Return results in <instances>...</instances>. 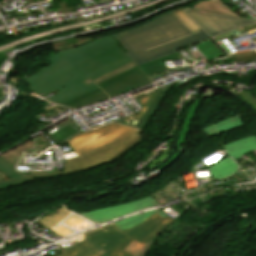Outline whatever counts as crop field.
<instances>
[{"label":"crop field","mask_w":256,"mask_h":256,"mask_svg":"<svg viewBox=\"0 0 256 256\" xmlns=\"http://www.w3.org/2000/svg\"><path fill=\"white\" fill-rule=\"evenodd\" d=\"M237 169L238 166L236 163L228 157L216 165L210 167L209 171L214 177H216L218 180H221L233 175Z\"/></svg>","instance_id":"13"},{"label":"crop field","mask_w":256,"mask_h":256,"mask_svg":"<svg viewBox=\"0 0 256 256\" xmlns=\"http://www.w3.org/2000/svg\"><path fill=\"white\" fill-rule=\"evenodd\" d=\"M157 93L153 94V95H149L146 96L144 98H141L139 100H137V102L139 103V105L143 108L140 112V114L137 116L138 118H142V116L144 115L145 111L147 110V108L149 107V105L151 104V102L153 101L155 95Z\"/></svg>","instance_id":"20"},{"label":"crop field","mask_w":256,"mask_h":256,"mask_svg":"<svg viewBox=\"0 0 256 256\" xmlns=\"http://www.w3.org/2000/svg\"><path fill=\"white\" fill-rule=\"evenodd\" d=\"M66 5H67L66 2H62V3L58 4L59 8L63 11L64 14L70 13L74 9V7L67 8Z\"/></svg>","instance_id":"24"},{"label":"crop field","mask_w":256,"mask_h":256,"mask_svg":"<svg viewBox=\"0 0 256 256\" xmlns=\"http://www.w3.org/2000/svg\"><path fill=\"white\" fill-rule=\"evenodd\" d=\"M172 221L166 214L156 209L123 219L111 225L145 246Z\"/></svg>","instance_id":"6"},{"label":"crop field","mask_w":256,"mask_h":256,"mask_svg":"<svg viewBox=\"0 0 256 256\" xmlns=\"http://www.w3.org/2000/svg\"><path fill=\"white\" fill-rule=\"evenodd\" d=\"M198 103H199V101H195L194 104H193V105L190 107V109H189L187 118H186V120H185L183 129H182V133H181L180 139H179V141H178V145H182V144H183L184 137H185L186 132H187V129H188L190 123H191V120H192L194 111H195V109H196Z\"/></svg>","instance_id":"18"},{"label":"crop field","mask_w":256,"mask_h":256,"mask_svg":"<svg viewBox=\"0 0 256 256\" xmlns=\"http://www.w3.org/2000/svg\"><path fill=\"white\" fill-rule=\"evenodd\" d=\"M227 153L236 160L238 157L256 148V136L243 138L239 141L224 145Z\"/></svg>","instance_id":"10"},{"label":"crop field","mask_w":256,"mask_h":256,"mask_svg":"<svg viewBox=\"0 0 256 256\" xmlns=\"http://www.w3.org/2000/svg\"><path fill=\"white\" fill-rule=\"evenodd\" d=\"M88 79L65 59L37 72L26 81L33 92L41 97L56 90L60 93L46 99L59 105L91 90L98 88L95 84H85Z\"/></svg>","instance_id":"4"},{"label":"crop field","mask_w":256,"mask_h":256,"mask_svg":"<svg viewBox=\"0 0 256 256\" xmlns=\"http://www.w3.org/2000/svg\"><path fill=\"white\" fill-rule=\"evenodd\" d=\"M0 172L6 174L7 176L11 177L12 179L1 181L0 182V190L5 189L9 186L33 181L25 176L17 174L14 169L13 165L7 161L6 159L0 157Z\"/></svg>","instance_id":"11"},{"label":"crop field","mask_w":256,"mask_h":256,"mask_svg":"<svg viewBox=\"0 0 256 256\" xmlns=\"http://www.w3.org/2000/svg\"><path fill=\"white\" fill-rule=\"evenodd\" d=\"M193 32L200 30V28L189 19L182 9H177L173 11Z\"/></svg>","instance_id":"19"},{"label":"crop field","mask_w":256,"mask_h":256,"mask_svg":"<svg viewBox=\"0 0 256 256\" xmlns=\"http://www.w3.org/2000/svg\"><path fill=\"white\" fill-rule=\"evenodd\" d=\"M207 37L202 30L193 33L173 12L112 36L137 65L175 53L173 50Z\"/></svg>","instance_id":"1"},{"label":"crop field","mask_w":256,"mask_h":256,"mask_svg":"<svg viewBox=\"0 0 256 256\" xmlns=\"http://www.w3.org/2000/svg\"><path fill=\"white\" fill-rule=\"evenodd\" d=\"M243 126V123L241 121V116H236L234 118L228 119L226 121L219 122L217 124H214L212 126H209L204 129L205 134L210 137L214 136L216 134H219L223 131H228L237 127Z\"/></svg>","instance_id":"14"},{"label":"crop field","mask_w":256,"mask_h":256,"mask_svg":"<svg viewBox=\"0 0 256 256\" xmlns=\"http://www.w3.org/2000/svg\"><path fill=\"white\" fill-rule=\"evenodd\" d=\"M85 233L86 239L58 256H134L144 246L111 225ZM92 239L105 253L101 255L87 240Z\"/></svg>","instance_id":"5"},{"label":"crop field","mask_w":256,"mask_h":256,"mask_svg":"<svg viewBox=\"0 0 256 256\" xmlns=\"http://www.w3.org/2000/svg\"><path fill=\"white\" fill-rule=\"evenodd\" d=\"M154 241V240H153ZM153 241H151L148 245H146L141 251H139L135 256H145L147 250L152 245Z\"/></svg>","instance_id":"25"},{"label":"crop field","mask_w":256,"mask_h":256,"mask_svg":"<svg viewBox=\"0 0 256 256\" xmlns=\"http://www.w3.org/2000/svg\"><path fill=\"white\" fill-rule=\"evenodd\" d=\"M231 57H233V59L236 63L249 61V60H255L256 59V51L249 52V53L238 54V55H233Z\"/></svg>","instance_id":"21"},{"label":"crop field","mask_w":256,"mask_h":256,"mask_svg":"<svg viewBox=\"0 0 256 256\" xmlns=\"http://www.w3.org/2000/svg\"><path fill=\"white\" fill-rule=\"evenodd\" d=\"M154 205L158 204L150 196L148 198L130 204L83 212L82 214L90 218L91 220L101 224L108 220Z\"/></svg>","instance_id":"9"},{"label":"crop field","mask_w":256,"mask_h":256,"mask_svg":"<svg viewBox=\"0 0 256 256\" xmlns=\"http://www.w3.org/2000/svg\"><path fill=\"white\" fill-rule=\"evenodd\" d=\"M149 83H151L149 79L136 66L114 78L98 84V86L112 98L138 89Z\"/></svg>","instance_id":"8"},{"label":"crop field","mask_w":256,"mask_h":256,"mask_svg":"<svg viewBox=\"0 0 256 256\" xmlns=\"http://www.w3.org/2000/svg\"><path fill=\"white\" fill-rule=\"evenodd\" d=\"M240 98L248 102L256 110V97L246 91H243L240 95Z\"/></svg>","instance_id":"23"},{"label":"crop field","mask_w":256,"mask_h":256,"mask_svg":"<svg viewBox=\"0 0 256 256\" xmlns=\"http://www.w3.org/2000/svg\"><path fill=\"white\" fill-rule=\"evenodd\" d=\"M63 58L68 60L91 81L131 63L125 51L111 37L80 48L59 52L51 56L49 62L53 64Z\"/></svg>","instance_id":"3"},{"label":"crop field","mask_w":256,"mask_h":256,"mask_svg":"<svg viewBox=\"0 0 256 256\" xmlns=\"http://www.w3.org/2000/svg\"><path fill=\"white\" fill-rule=\"evenodd\" d=\"M176 59H178V55L175 53V54L169 55L167 57H164V58H161V59H158V60H155V61L143 64V65H139V67L148 76H151V75H154L156 73H160V72H162L164 70H167V68L161 62L170 61V60H176Z\"/></svg>","instance_id":"17"},{"label":"crop field","mask_w":256,"mask_h":256,"mask_svg":"<svg viewBox=\"0 0 256 256\" xmlns=\"http://www.w3.org/2000/svg\"><path fill=\"white\" fill-rule=\"evenodd\" d=\"M141 132L111 123L66 141L79 157L67 161L65 174L118 159L142 139Z\"/></svg>","instance_id":"2"},{"label":"crop field","mask_w":256,"mask_h":256,"mask_svg":"<svg viewBox=\"0 0 256 256\" xmlns=\"http://www.w3.org/2000/svg\"><path fill=\"white\" fill-rule=\"evenodd\" d=\"M193 8L201 11L214 12V13H220V14L238 17L233 13V11L229 10L219 0H206L205 2L202 1L195 4Z\"/></svg>","instance_id":"15"},{"label":"crop field","mask_w":256,"mask_h":256,"mask_svg":"<svg viewBox=\"0 0 256 256\" xmlns=\"http://www.w3.org/2000/svg\"><path fill=\"white\" fill-rule=\"evenodd\" d=\"M134 66H135V65H134L133 63L128 64V65H126V66H124V67H122V68H120V69H117V70H115V71H113V72H111V73H109V74H107V75H105V76H102V77H100V78L94 80V82L97 84V83H99V82H101V81H103V80H106V79H108V78H111V77H113V76H115V75H117V74H119V73H121V72H123V71H125V70H127V69H130V68L134 67Z\"/></svg>","instance_id":"22"},{"label":"crop field","mask_w":256,"mask_h":256,"mask_svg":"<svg viewBox=\"0 0 256 256\" xmlns=\"http://www.w3.org/2000/svg\"><path fill=\"white\" fill-rule=\"evenodd\" d=\"M171 87L172 86L170 85V86L166 87L165 89H163L162 91L160 90L158 92L156 98L154 99V101L152 102V104L150 105L148 110L146 111L145 115L142 118L143 120H141V122L139 123L137 128H139V129H144L145 128V126L148 124V122L150 121L153 114L156 112V110H157L160 102L162 101V99L170 91Z\"/></svg>","instance_id":"16"},{"label":"crop field","mask_w":256,"mask_h":256,"mask_svg":"<svg viewBox=\"0 0 256 256\" xmlns=\"http://www.w3.org/2000/svg\"><path fill=\"white\" fill-rule=\"evenodd\" d=\"M108 98L109 97L100 88H98L94 91H91L87 94L77 97L63 105L73 108V109H76L78 107L96 104V103L103 101L105 99H108Z\"/></svg>","instance_id":"12"},{"label":"crop field","mask_w":256,"mask_h":256,"mask_svg":"<svg viewBox=\"0 0 256 256\" xmlns=\"http://www.w3.org/2000/svg\"><path fill=\"white\" fill-rule=\"evenodd\" d=\"M186 13L210 36L219 35L233 28L254 23L252 21H245L196 10H186Z\"/></svg>","instance_id":"7"}]
</instances>
